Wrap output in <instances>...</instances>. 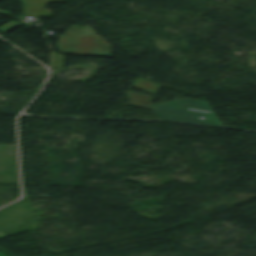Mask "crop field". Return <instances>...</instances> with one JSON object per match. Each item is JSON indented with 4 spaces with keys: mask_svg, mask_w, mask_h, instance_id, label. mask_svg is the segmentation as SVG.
Masks as SVG:
<instances>
[{
    "mask_svg": "<svg viewBox=\"0 0 256 256\" xmlns=\"http://www.w3.org/2000/svg\"><path fill=\"white\" fill-rule=\"evenodd\" d=\"M96 34L89 26L71 27L66 36H58V51L63 54L112 57V46Z\"/></svg>",
    "mask_w": 256,
    "mask_h": 256,
    "instance_id": "2",
    "label": "crop field"
},
{
    "mask_svg": "<svg viewBox=\"0 0 256 256\" xmlns=\"http://www.w3.org/2000/svg\"><path fill=\"white\" fill-rule=\"evenodd\" d=\"M0 238H3L2 236H0Z\"/></svg>",
    "mask_w": 256,
    "mask_h": 256,
    "instance_id": "9",
    "label": "crop field"
},
{
    "mask_svg": "<svg viewBox=\"0 0 256 256\" xmlns=\"http://www.w3.org/2000/svg\"><path fill=\"white\" fill-rule=\"evenodd\" d=\"M8 12V11H7ZM10 13H12V12H10Z\"/></svg>",
    "mask_w": 256,
    "mask_h": 256,
    "instance_id": "10",
    "label": "crop field"
},
{
    "mask_svg": "<svg viewBox=\"0 0 256 256\" xmlns=\"http://www.w3.org/2000/svg\"><path fill=\"white\" fill-rule=\"evenodd\" d=\"M20 26H21V24L15 23V22L13 21V22H11V23H9V24H7V25L1 27V28H0V31L5 32V33H8V32H10V31H12V30H14V29H16V28H18V27H20Z\"/></svg>",
    "mask_w": 256,
    "mask_h": 256,
    "instance_id": "7",
    "label": "crop field"
},
{
    "mask_svg": "<svg viewBox=\"0 0 256 256\" xmlns=\"http://www.w3.org/2000/svg\"><path fill=\"white\" fill-rule=\"evenodd\" d=\"M0 256H5V255H3L2 253H0Z\"/></svg>",
    "mask_w": 256,
    "mask_h": 256,
    "instance_id": "8",
    "label": "crop field"
},
{
    "mask_svg": "<svg viewBox=\"0 0 256 256\" xmlns=\"http://www.w3.org/2000/svg\"><path fill=\"white\" fill-rule=\"evenodd\" d=\"M133 87L143 90L145 92H148L150 94H153L155 96H157V94L162 88L161 86L154 84L148 80H145L141 77L138 78V80L134 83Z\"/></svg>",
    "mask_w": 256,
    "mask_h": 256,
    "instance_id": "5",
    "label": "crop field"
},
{
    "mask_svg": "<svg viewBox=\"0 0 256 256\" xmlns=\"http://www.w3.org/2000/svg\"><path fill=\"white\" fill-rule=\"evenodd\" d=\"M24 14L27 16L52 17L51 11L45 9L50 3L66 2L65 0H22Z\"/></svg>",
    "mask_w": 256,
    "mask_h": 256,
    "instance_id": "3",
    "label": "crop field"
},
{
    "mask_svg": "<svg viewBox=\"0 0 256 256\" xmlns=\"http://www.w3.org/2000/svg\"><path fill=\"white\" fill-rule=\"evenodd\" d=\"M64 56L57 55L53 53V68L52 69H61L63 68Z\"/></svg>",
    "mask_w": 256,
    "mask_h": 256,
    "instance_id": "6",
    "label": "crop field"
},
{
    "mask_svg": "<svg viewBox=\"0 0 256 256\" xmlns=\"http://www.w3.org/2000/svg\"><path fill=\"white\" fill-rule=\"evenodd\" d=\"M129 96L130 101L128 102L129 105L145 108L152 110L149 106L150 102L152 101V97L145 96V95H140V94H135L128 92L127 93ZM128 105V106H129Z\"/></svg>",
    "mask_w": 256,
    "mask_h": 256,
    "instance_id": "4",
    "label": "crop field"
},
{
    "mask_svg": "<svg viewBox=\"0 0 256 256\" xmlns=\"http://www.w3.org/2000/svg\"><path fill=\"white\" fill-rule=\"evenodd\" d=\"M160 119L221 125L208 102L184 99L160 105H150Z\"/></svg>",
    "mask_w": 256,
    "mask_h": 256,
    "instance_id": "1",
    "label": "crop field"
}]
</instances>
